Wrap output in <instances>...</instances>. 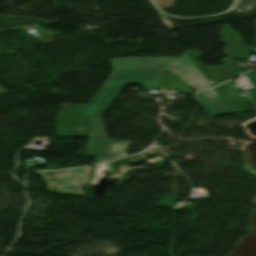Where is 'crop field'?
<instances>
[{"instance_id":"ac0d7876","label":"crop field","mask_w":256,"mask_h":256,"mask_svg":"<svg viewBox=\"0 0 256 256\" xmlns=\"http://www.w3.org/2000/svg\"><path fill=\"white\" fill-rule=\"evenodd\" d=\"M91 127L84 156H97L94 163L109 162L128 154L130 142L113 141L106 136L101 117H87Z\"/></svg>"},{"instance_id":"34b2d1b8","label":"crop field","mask_w":256,"mask_h":256,"mask_svg":"<svg viewBox=\"0 0 256 256\" xmlns=\"http://www.w3.org/2000/svg\"><path fill=\"white\" fill-rule=\"evenodd\" d=\"M86 105H64L62 106L58 119V127L90 128L86 119Z\"/></svg>"},{"instance_id":"f4fd0767","label":"crop field","mask_w":256,"mask_h":256,"mask_svg":"<svg viewBox=\"0 0 256 256\" xmlns=\"http://www.w3.org/2000/svg\"><path fill=\"white\" fill-rule=\"evenodd\" d=\"M90 129L58 128L60 137L87 136Z\"/></svg>"},{"instance_id":"8a807250","label":"crop field","mask_w":256,"mask_h":256,"mask_svg":"<svg viewBox=\"0 0 256 256\" xmlns=\"http://www.w3.org/2000/svg\"><path fill=\"white\" fill-rule=\"evenodd\" d=\"M113 73L87 105V116H101L126 84H141L145 91L159 90L156 78L161 70H170L195 91L209 84L187 55L179 58H118L111 61Z\"/></svg>"},{"instance_id":"412701ff","label":"crop field","mask_w":256,"mask_h":256,"mask_svg":"<svg viewBox=\"0 0 256 256\" xmlns=\"http://www.w3.org/2000/svg\"><path fill=\"white\" fill-rule=\"evenodd\" d=\"M194 96L202 105L209 117L230 113L213 89L195 94Z\"/></svg>"}]
</instances>
